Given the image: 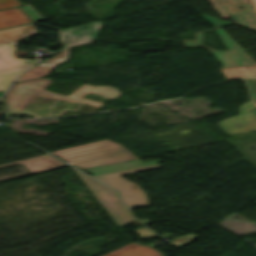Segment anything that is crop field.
Instances as JSON below:
<instances>
[{
  "mask_svg": "<svg viewBox=\"0 0 256 256\" xmlns=\"http://www.w3.org/2000/svg\"><path fill=\"white\" fill-rule=\"evenodd\" d=\"M201 16L207 21L209 22L214 28L217 27H222V26H226V25H230L231 23H227V22H223L221 20L215 19V18H211V17H207L201 14ZM208 23V24H209Z\"/></svg>",
  "mask_w": 256,
  "mask_h": 256,
  "instance_id": "crop-field-19",
  "label": "crop field"
},
{
  "mask_svg": "<svg viewBox=\"0 0 256 256\" xmlns=\"http://www.w3.org/2000/svg\"><path fill=\"white\" fill-rule=\"evenodd\" d=\"M104 256H163V255L154 249H151L139 244H135V243H129Z\"/></svg>",
  "mask_w": 256,
  "mask_h": 256,
  "instance_id": "crop-field-12",
  "label": "crop field"
},
{
  "mask_svg": "<svg viewBox=\"0 0 256 256\" xmlns=\"http://www.w3.org/2000/svg\"><path fill=\"white\" fill-rule=\"evenodd\" d=\"M215 30L229 50H214L202 45V32L196 33V40L184 41V43L186 47L189 48L203 46L209 49L212 55L223 67L256 64V62L251 59L238 45H236L237 43L232 39L236 43L235 44L220 28Z\"/></svg>",
  "mask_w": 256,
  "mask_h": 256,
  "instance_id": "crop-field-5",
  "label": "crop field"
},
{
  "mask_svg": "<svg viewBox=\"0 0 256 256\" xmlns=\"http://www.w3.org/2000/svg\"><path fill=\"white\" fill-rule=\"evenodd\" d=\"M27 67L14 68L0 72V91H4L8 84Z\"/></svg>",
  "mask_w": 256,
  "mask_h": 256,
  "instance_id": "crop-field-17",
  "label": "crop field"
},
{
  "mask_svg": "<svg viewBox=\"0 0 256 256\" xmlns=\"http://www.w3.org/2000/svg\"><path fill=\"white\" fill-rule=\"evenodd\" d=\"M22 9L24 10V12L30 17V19L32 21H36V20H42L43 18L37 13L35 12L29 5H25L24 7H22Z\"/></svg>",
  "mask_w": 256,
  "mask_h": 256,
  "instance_id": "crop-field-18",
  "label": "crop field"
},
{
  "mask_svg": "<svg viewBox=\"0 0 256 256\" xmlns=\"http://www.w3.org/2000/svg\"><path fill=\"white\" fill-rule=\"evenodd\" d=\"M53 80L31 79L11 85L4 96V116L18 117L23 111L37 117L60 116L65 110L77 111L82 104L101 107L103 104L82 98L93 93L110 100L120 93L110 86L83 84L69 95L45 90Z\"/></svg>",
  "mask_w": 256,
  "mask_h": 256,
  "instance_id": "crop-field-1",
  "label": "crop field"
},
{
  "mask_svg": "<svg viewBox=\"0 0 256 256\" xmlns=\"http://www.w3.org/2000/svg\"><path fill=\"white\" fill-rule=\"evenodd\" d=\"M29 21L19 8L0 11V28Z\"/></svg>",
  "mask_w": 256,
  "mask_h": 256,
  "instance_id": "crop-field-15",
  "label": "crop field"
},
{
  "mask_svg": "<svg viewBox=\"0 0 256 256\" xmlns=\"http://www.w3.org/2000/svg\"><path fill=\"white\" fill-rule=\"evenodd\" d=\"M159 162H161V161L156 160V161L142 163L139 159H136V160H131V161H127V162L107 165V166L85 169L84 171H86L92 175H97V174L117 172V171H121V170L131 169V168L145 166V165L159 163Z\"/></svg>",
  "mask_w": 256,
  "mask_h": 256,
  "instance_id": "crop-field-13",
  "label": "crop field"
},
{
  "mask_svg": "<svg viewBox=\"0 0 256 256\" xmlns=\"http://www.w3.org/2000/svg\"><path fill=\"white\" fill-rule=\"evenodd\" d=\"M227 80L240 76H256V65L221 69Z\"/></svg>",
  "mask_w": 256,
  "mask_h": 256,
  "instance_id": "crop-field-16",
  "label": "crop field"
},
{
  "mask_svg": "<svg viewBox=\"0 0 256 256\" xmlns=\"http://www.w3.org/2000/svg\"><path fill=\"white\" fill-rule=\"evenodd\" d=\"M18 5H20L18 0H0V9Z\"/></svg>",
  "mask_w": 256,
  "mask_h": 256,
  "instance_id": "crop-field-20",
  "label": "crop field"
},
{
  "mask_svg": "<svg viewBox=\"0 0 256 256\" xmlns=\"http://www.w3.org/2000/svg\"><path fill=\"white\" fill-rule=\"evenodd\" d=\"M100 30L99 22L68 28L59 31L62 46L68 47L76 44L94 41Z\"/></svg>",
  "mask_w": 256,
  "mask_h": 256,
  "instance_id": "crop-field-8",
  "label": "crop field"
},
{
  "mask_svg": "<svg viewBox=\"0 0 256 256\" xmlns=\"http://www.w3.org/2000/svg\"><path fill=\"white\" fill-rule=\"evenodd\" d=\"M243 80L251 100L240 106L239 114L217 123L230 135L256 130V117L249 111L256 107V78Z\"/></svg>",
  "mask_w": 256,
  "mask_h": 256,
  "instance_id": "crop-field-6",
  "label": "crop field"
},
{
  "mask_svg": "<svg viewBox=\"0 0 256 256\" xmlns=\"http://www.w3.org/2000/svg\"><path fill=\"white\" fill-rule=\"evenodd\" d=\"M63 51V50H62ZM68 56V49L56 55L53 59L38 62L17 80L46 76L51 68ZM17 82V81H16Z\"/></svg>",
  "mask_w": 256,
  "mask_h": 256,
  "instance_id": "crop-field-11",
  "label": "crop field"
},
{
  "mask_svg": "<svg viewBox=\"0 0 256 256\" xmlns=\"http://www.w3.org/2000/svg\"><path fill=\"white\" fill-rule=\"evenodd\" d=\"M13 164H23L31 173L47 170L51 168H56L60 166H64L65 164L59 162L58 160L50 157L47 154L0 165L1 167L13 165Z\"/></svg>",
  "mask_w": 256,
  "mask_h": 256,
  "instance_id": "crop-field-9",
  "label": "crop field"
},
{
  "mask_svg": "<svg viewBox=\"0 0 256 256\" xmlns=\"http://www.w3.org/2000/svg\"><path fill=\"white\" fill-rule=\"evenodd\" d=\"M158 167H160L158 164H154L117 173L97 175L94 176V178L106 183L107 185L119 191L126 206L132 208L149 207L144 191L140 189L135 183L119 175Z\"/></svg>",
  "mask_w": 256,
  "mask_h": 256,
  "instance_id": "crop-field-3",
  "label": "crop field"
},
{
  "mask_svg": "<svg viewBox=\"0 0 256 256\" xmlns=\"http://www.w3.org/2000/svg\"><path fill=\"white\" fill-rule=\"evenodd\" d=\"M3 92H0V96L2 95Z\"/></svg>",
  "mask_w": 256,
  "mask_h": 256,
  "instance_id": "crop-field-26",
  "label": "crop field"
},
{
  "mask_svg": "<svg viewBox=\"0 0 256 256\" xmlns=\"http://www.w3.org/2000/svg\"><path fill=\"white\" fill-rule=\"evenodd\" d=\"M72 170L88 187V189L92 192L98 202L118 226L128 224L134 219L129 212L122 207L118 198L115 196V191L105 187L103 184L73 168Z\"/></svg>",
  "mask_w": 256,
  "mask_h": 256,
  "instance_id": "crop-field-4",
  "label": "crop field"
},
{
  "mask_svg": "<svg viewBox=\"0 0 256 256\" xmlns=\"http://www.w3.org/2000/svg\"><path fill=\"white\" fill-rule=\"evenodd\" d=\"M66 59H67V58H66ZM66 59H64L63 61H65ZM63 61H62V62H63Z\"/></svg>",
  "mask_w": 256,
  "mask_h": 256,
  "instance_id": "crop-field-27",
  "label": "crop field"
},
{
  "mask_svg": "<svg viewBox=\"0 0 256 256\" xmlns=\"http://www.w3.org/2000/svg\"><path fill=\"white\" fill-rule=\"evenodd\" d=\"M221 19L231 18L233 23L256 31V16L249 0H209ZM242 6L245 14H242Z\"/></svg>",
  "mask_w": 256,
  "mask_h": 256,
  "instance_id": "crop-field-7",
  "label": "crop field"
},
{
  "mask_svg": "<svg viewBox=\"0 0 256 256\" xmlns=\"http://www.w3.org/2000/svg\"><path fill=\"white\" fill-rule=\"evenodd\" d=\"M50 153L55 154V153H58V151L55 150V151H51Z\"/></svg>",
  "mask_w": 256,
  "mask_h": 256,
  "instance_id": "crop-field-24",
  "label": "crop field"
},
{
  "mask_svg": "<svg viewBox=\"0 0 256 256\" xmlns=\"http://www.w3.org/2000/svg\"><path fill=\"white\" fill-rule=\"evenodd\" d=\"M252 3L254 5L255 11H256V0H252Z\"/></svg>",
  "mask_w": 256,
  "mask_h": 256,
  "instance_id": "crop-field-23",
  "label": "crop field"
},
{
  "mask_svg": "<svg viewBox=\"0 0 256 256\" xmlns=\"http://www.w3.org/2000/svg\"><path fill=\"white\" fill-rule=\"evenodd\" d=\"M34 33H37V31L31 24L0 30V44L17 40Z\"/></svg>",
  "mask_w": 256,
  "mask_h": 256,
  "instance_id": "crop-field-14",
  "label": "crop field"
},
{
  "mask_svg": "<svg viewBox=\"0 0 256 256\" xmlns=\"http://www.w3.org/2000/svg\"><path fill=\"white\" fill-rule=\"evenodd\" d=\"M19 40L0 45V71L20 66L32 65V60L17 59L14 55V49Z\"/></svg>",
  "mask_w": 256,
  "mask_h": 256,
  "instance_id": "crop-field-10",
  "label": "crop field"
},
{
  "mask_svg": "<svg viewBox=\"0 0 256 256\" xmlns=\"http://www.w3.org/2000/svg\"><path fill=\"white\" fill-rule=\"evenodd\" d=\"M55 154L81 169L138 158L123 146L109 139L58 150Z\"/></svg>",
  "mask_w": 256,
  "mask_h": 256,
  "instance_id": "crop-field-2",
  "label": "crop field"
},
{
  "mask_svg": "<svg viewBox=\"0 0 256 256\" xmlns=\"http://www.w3.org/2000/svg\"><path fill=\"white\" fill-rule=\"evenodd\" d=\"M97 109H99V108L93 107V106H89V105H82L80 107V109L77 112H73V114L95 112Z\"/></svg>",
  "mask_w": 256,
  "mask_h": 256,
  "instance_id": "crop-field-21",
  "label": "crop field"
},
{
  "mask_svg": "<svg viewBox=\"0 0 256 256\" xmlns=\"http://www.w3.org/2000/svg\"><path fill=\"white\" fill-rule=\"evenodd\" d=\"M256 114V108L252 110Z\"/></svg>",
  "mask_w": 256,
  "mask_h": 256,
  "instance_id": "crop-field-25",
  "label": "crop field"
},
{
  "mask_svg": "<svg viewBox=\"0 0 256 256\" xmlns=\"http://www.w3.org/2000/svg\"><path fill=\"white\" fill-rule=\"evenodd\" d=\"M84 98H88V99H91V100H95V101H98V102H104L105 98H102V97H99V96H96V95H93V94H87V95H84Z\"/></svg>",
  "mask_w": 256,
  "mask_h": 256,
  "instance_id": "crop-field-22",
  "label": "crop field"
}]
</instances>
